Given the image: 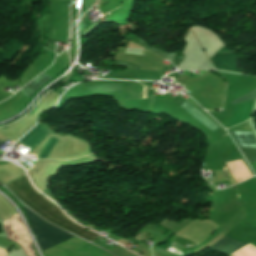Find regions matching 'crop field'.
I'll list each match as a JSON object with an SVG mask.
<instances>
[{
    "label": "crop field",
    "mask_w": 256,
    "mask_h": 256,
    "mask_svg": "<svg viewBox=\"0 0 256 256\" xmlns=\"http://www.w3.org/2000/svg\"><path fill=\"white\" fill-rule=\"evenodd\" d=\"M6 186L11 188L21 198L25 205L46 220L53 222L61 228L88 241H94L99 237L71 222L55 205L41 197L32 188L29 180L25 176Z\"/></svg>",
    "instance_id": "crop-field-1"
},
{
    "label": "crop field",
    "mask_w": 256,
    "mask_h": 256,
    "mask_svg": "<svg viewBox=\"0 0 256 256\" xmlns=\"http://www.w3.org/2000/svg\"><path fill=\"white\" fill-rule=\"evenodd\" d=\"M24 210L29 218L35 236L38 237L35 239L42 251H45L74 237L54 226L45 223L28 209L24 208Z\"/></svg>",
    "instance_id": "crop-field-2"
},
{
    "label": "crop field",
    "mask_w": 256,
    "mask_h": 256,
    "mask_svg": "<svg viewBox=\"0 0 256 256\" xmlns=\"http://www.w3.org/2000/svg\"><path fill=\"white\" fill-rule=\"evenodd\" d=\"M49 133L50 132L47 127L38 124L27 135H25L19 143L34 149Z\"/></svg>",
    "instance_id": "crop-field-3"
},
{
    "label": "crop field",
    "mask_w": 256,
    "mask_h": 256,
    "mask_svg": "<svg viewBox=\"0 0 256 256\" xmlns=\"http://www.w3.org/2000/svg\"><path fill=\"white\" fill-rule=\"evenodd\" d=\"M247 244L248 243H241L224 236L210 248L216 250L219 253L230 255L240 248L246 246Z\"/></svg>",
    "instance_id": "crop-field-4"
},
{
    "label": "crop field",
    "mask_w": 256,
    "mask_h": 256,
    "mask_svg": "<svg viewBox=\"0 0 256 256\" xmlns=\"http://www.w3.org/2000/svg\"><path fill=\"white\" fill-rule=\"evenodd\" d=\"M180 107L183 108L190 115H192L195 119H197L200 123H202L212 132L220 127L216 123H214L212 120H210L208 117H206L204 114H202L200 111H198L196 108H194L192 105L188 104L187 102L184 101Z\"/></svg>",
    "instance_id": "crop-field-5"
},
{
    "label": "crop field",
    "mask_w": 256,
    "mask_h": 256,
    "mask_svg": "<svg viewBox=\"0 0 256 256\" xmlns=\"http://www.w3.org/2000/svg\"><path fill=\"white\" fill-rule=\"evenodd\" d=\"M239 147L256 148V137L253 132H231Z\"/></svg>",
    "instance_id": "crop-field-6"
},
{
    "label": "crop field",
    "mask_w": 256,
    "mask_h": 256,
    "mask_svg": "<svg viewBox=\"0 0 256 256\" xmlns=\"http://www.w3.org/2000/svg\"><path fill=\"white\" fill-rule=\"evenodd\" d=\"M143 92V86L136 82L126 83L125 100L129 99H141ZM148 96V89L146 88V98ZM143 98H145V87L143 92Z\"/></svg>",
    "instance_id": "crop-field-7"
},
{
    "label": "crop field",
    "mask_w": 256,
    "mask_h": 256,
    "mask_svg": "<svg viewBox=\"0 0 256 256\" xmlns=\"http://www.w3.org/2000/svg\"><path fill=\"white\" fill-rule=\"evenodd\" d=\"M51 79H53V78H51L48 75L43 73L38 78H36L34 81H32L29 85H27L25 88H23L22 92L24 95L31 98L33 96V94L38 89H40L44 84H46Z\"/></svg>",
    "instance_id": "crop-field-8"
},
{
    "label": "crop field",
    "mask_w": 256,
    "mask_h": 256,
    "mask_svg": "<svg viewBox=\"0 0 256 256\" xmlns=\"http://www.w3.org/2000/svg\"><path fill=\"white\" fill-rule=\"evenodd\" d=\"M56 142H57V139L51 137L48 144L46 145V147L44 148V150L42 151L38 159H47L48 155L50 154Z\"/></svg>",
    "instance_id": "crop-field-9"
},
{
    "label": "crop field",
    "mask_w": 256,
    "mask_h": 256,
    "mask_svg": "<svg viewBox=\"0 0 256 256\" xmlns=\"http://www.w3.org/2000/svg\"><path fill=\"white\" fill-rule=\"evenodd\" d=\"M248 163H256V149L240 148Z\"/></svg>",
    "instance_id": "crop-field-10"
},
{
    "label": "crop field",
    "mask_w": 256,
    "mask_h": 256,
    "mask_svg": "<svg viewBox=\"0 0 256 256\" xmlns=\"http://www.w3.org/2000/svg\"><path fill=\"white\" fill-rule=\"evenodd\" d=\"M255 97H256V90H254V91H252V92H250V93H248V94H246V95H244V96H242V97H240V98H238V99H236V100H234L230 103L235 105V104L250 100V99L255 98Z\"/></svg>",
    "instance_id": "crop-field-11"
},
{
    "label": "crop field",
    "mask_w": 256,
    "mask_h": 256,
    "mask_svg": "<svg viewBox=\"0 0 256 256\" xmlns=\"http://www.w3.org/2000/svg\"><path fill=\"white\" fill-rule=\"evenodd\" d=\"M5 143V142H4ZM2 145V142H0V146Z\"/></svg>",
    "instance_id": "crop-field-12"
}]
</instances>
